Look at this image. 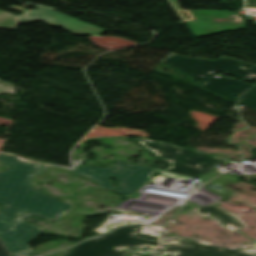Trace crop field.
Wrapping results in <instances>:
<instances>
[{"label": "crop field", "mask_w": 256, "mask_h": 256, "mask_svg": "<svg viewBox=\"0 0 256 256\" xmlns=\"http://www.w3.org/2000/svg\"><path fill=\"white\" fill-rule=\"evenodd\" d=\"M7 169L0 174L1 211L8 223H0V237L14 256H33L28 243L43 230L25 222L27 216L36 215L50 220L59 218L73 205L52 198L31 184L34 175L42 174L46 167L26 164L7 155H0Z\"/></svg>", "instance_id": "8a807250"}, {"label": "crop field", "mask_w": 256, "mask_h": 256, "mask_svg": "<svg viewBox=\"0 0 256 256\" xmlns=\"http://www.w3.org/2000/svg\"><path fill=\"white\" fill-rule=\"evenodd\" d=\"M162 62L189 74L193 78H204L205 82L202 86L217 91L232 100L240 98L251 88V86L227 77H213V72L221 71L241 77L243 80L247 81L256 79V64L252 65L225 56L213 61L188 58L170 52ZM243 64L250 66L251 69L247 70L243 68Z\"/></svg>", "instance_id": "ac0d7876"}, {"label": "crop field", "mask_w": 256, "mask_h": 256, "mask_svg": "<svg viewBox=\"0 0 256 256\" xmlns=\"http://www.w3.org/2000/svg\"><path fill=\"white\" fill-rule=\"evenodd\" d=\"M135 141L156 157L170 163L171 167L162 171L195 177L211 172L216 169L213 166L228 161L194 149L180 148L168 142L145 138H137Z\"/></svg>", "instance_id": "34b2d1b8"}, {"label": "crop field", "mask_w": 256, "mask_h": 256, "mask_svg": "<svg viewBox=\"0 0 256 256\" xmlns=\"http://www.w3.org/2000/svg\"><path fill=\"white\" fill-rule=\"evenodd\" d=\"M144 227H125L100 239L88 240L76 246L67 256H125L123 249H141L144 246L154 250L161 244L157 237L135 234Z\"/></svg>", "instance_id": "412701ff"}, {"label": "crop field", "mask_w": 256, "mask_h": 256, "mask_svg": "<svg viewBox=\"0 0 256 256\" xmlns=\"http://www.w3.org/2000/svg\"><path fill=\"white\" fill-rule=\"evenodd\" d=\"M9 8L23 13L20 16H16L0 10L1 29H16L17 24L41 20L53 26H62L67 31L76 34L99 35L106 30L45 7H39L34 11L24 10L15 5Z\"/></svg>", "instance_id": "f4fd0767"}, {"label": "crop field", "mask_w": 256, "mask_h": 256, "mask_svg": "<svg viewBox=\"0 0 256 256\" xmlns=\"http://www.w3.org/2000/svg\"><path fill=\"white\" fill-rule=\"evenodd\" d=\"M93 169L94 171H90ZM154 169L142 167L122 161H118L112 168H97V167H79L74 171L76 174L84 175L99 186L107 189L115 190L128 197L136 188L149 179L148 174ZM109 177H117L120 186L119 188L111 187Z\"/></svg>", "instance_id": "dd49c442"}, {"label": "crop field", "mask_w": 256, "mask_h": 256, "mask_svg": "<svg viewBox=\"0 0 256 256\" xmlns=\"http://www.w3.org/2000/svg\"><path fill=\"white\" fill-rule=\"evenodd\" d=\"M196 20L187 21L195 37L243 29L246 23L231 11L190 10ZM222 27V29H218Z\"/></svg>", "instance_id": "e52e79f7"}, {"label": "crop field", "mask_w": 256, "mask_h": 256, "mask_svg": "<svg viewBox=\"0 0 256 256\" xmlns=\"http://www.w3.org/2000/svg\"><path fill=\"white\" fill-rule=\"evenodd\" d=\"M250 254L241 249H224L207 246L189 239L177 238L174 242H165L154 253L163 256L164 252L177 253V256H256V243L249 248Z\"/></svg>", "instance_id": "d8731c3e"}, {"label": "crop field", "mask_w": 256, "mask_h": 256, "mask_svg": "<svg viewBox=\"0 0 256 256\" xmlns=\"http://www.w3.org/2000/svg\"><path fill=\"white\" fill-rule=\"evenodd\" d=\"M191 209H193L194 211L198 212L203 216L210 215L213 218L219 219L220 223L230 230L236 231L244 227L243 223L240 222L237 218H235L232 215L226 214L217 206L196 207Z\"/></svg>", "instance_id": "5a996713"}, {"label": "crop field", "mask_w": 256, "mask_h": 256, "mask_svg": "<svg viewBox=\"0 0 256 256\" xmlns=\"http://www.w3.org/2000/svg\"><path fill=\"white\" fill-rule=\"evenodd\" d=\"M237 180H238L237 177L224 175V176L212 181L211 183H209V184H212V185L224 187L223 189L218 190V189L207 187V186H209V184H207L204 187L213 191V192H215V193H217V194H219V195H221V196H223V197H225V198H227V197H229L231 191L224 184L225 183L236 182Z\"/></svg>", "instance_id": "3316defc"}, {"label": "crop field", "mask_w": 256, "mask_h": 256, "mask_svg": "<svg viewBox=\"0 0 256 256\" xmlns=\"http://www.w3.org/2000/svg\"><path fill=\"white\" fill-rule=\"evenodd\" d=\"M239 102H243L247 105L256 108V86L250 92H248L242 99H240Z\"/></svg>", "instance_id": "28ad6ade"}, {"label": "crop field", "mask_w": 256, "mask_h": 256, "mask_svg": "<svg viewBox=\"0 0 256 256\" xmlns=\"http://www.w3.org/2000/svg\"><path fill=\"white\" fill-rule=\"evenodd\" d=\"M171 3L174 5V7L176 8V10L179 12V14L181 15V17L184 19V21L187 20H193L194 17L191 15V13L189 12V10H182L178 4L177 1L178 0H170Z\"/></svg>", "instance_id": "d1516ede"}, {"label": "crop field", "mask_w": 256, "mask_h": 256, "mask_svg": "<svg viewBox=\"0 0 256 256\" xmlns=\"http://www.w3.org/2000/svg\"><path fill=\"white\" fill-rule=\"evenodd\" d=\"M15 87L0 80V93H15Z\"/></svg>", "instance_id": "22f410ed"}, {"label": "crop field", "mask_w": 256, "mask_h": 256, "mask_svg": "<svg viewBox=\"0 0 256 256\" xmlns=\"http://www.w3.org/2000/svg\"><path fill=\"white\" fill-rule=\"evenodd\" d=\"M11 252L6 247V245L3 243V241L0 239V256H11Z\"/></svg>", "instance_id": "cbeb9de0"}, {"label": "crop field", "mask_w": 256, "mask_h": 256, "mask_svg": "<svg viewBox=\"0 0 256 256\" xmlns=\"http://www.w3.org/2000/svg\"><path fill=\"white\" fill-rule=\"evenodd\" d=\"M0 222H1V223H6V222H7L6 219H5V217L2 215L1 212H0Z\"/></svg>", "instance_id": "5142ce71"}]
</instances>
